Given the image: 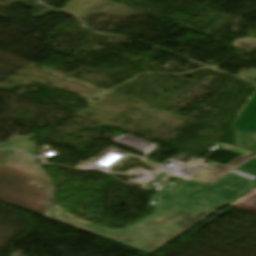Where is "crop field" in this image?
<instances>
[{"instance_id": "crop-field-1", "label": "crop field", "mask_w": 256, "mask_h": 256, "mask_svg": "<svg viewBox=\"0 0 256 256\" xmlns=\"http://www.w3.org/2000/svg\"><path fill=\"white\" fill-rule=\"evenodd\" d=\"M255 185L256 179L251 181L232 173L213 185L185 181L168 194L160 193L155 214L127 229L81 223L65 217L66 212L58 205L43 216L150 254Z\"/></svg>"}, {"instance_id": "crop-field-2", "label": "crop field", "mask_w": 256, "mask_h": 256, "mask_svg": "<svg viewBox=\"0 0 256 256\" xmlns=\"http://www.w3.org/2000/svg\"><path fill=\"white\" fill-rule=\"evenodd\" d=\"M54 190V185L34 157L16 151L0 165L1 201L42 215L55 205Z\"/></svg>"}, {"instance_id": "crop-field-3", "label": "crop field", "mask_w": 256, "mask_h": 256, "mask_svg": "<svg viewBox=\"0 0 256 256\" xmlns=\"http://www.w3.org/2000/svg\"><path fill=\"white\" fill-rule=\"evenodd\" d=\"M234 128L256 131V91L233 123Z\"/></svg>"}, {"instance_id": "crop-field-4", "label": "crop field", "mask_w": 256, "mask_h": 256, "mask_svg": "<svg viewBox=\"0 0 256 256\" xmlns=\"http://www.w3.org/2000/svg\"><path fill=\"white\" fill-rule=\"evenodd\" d=\"M232 168L220 165V164H212L202 171H200L198 174L193 176L190 179L199 180L203 182H211L219 178L221 175L226 173L227 171L231 170Z\"/></svg>"}, {"instance_id": "crop-field-5", "label": "crop field", "mask_w": 256, "mask_h": 256, "mask_svg": "<svg viewBox=\"0 0 256 256\" xmlns=\"http://www.w3.org/2000/svg\"><path fill=\"white\" fill-rule=\"evenodd\" d=\"M237 147L256 153V132L235 129Z\"/></svg>"}, {"instance_id": "crop-field-6", "label": "crop field", "mask_w": 256, "mask_h": 256, "mask_svg": "<svg viewBox=\"0 0 256 256\" xmlns=\"http://www.w3.org/2000/svg\"><path fill=\"white\" fill-rule=\"evenodd\" d=\"M230 205L256 214V187Z\"/></svg>"}, {"instance_id": "crop-field-7", "label": "crop field", "mask_w": 256, "mask_h": 256, "mask_svg": "<svg viewBox=\"0 0 256 256\" xmlns=\"http://www.w3.org/2000/svg\"><path fill=\"white\" fill-rule=\"evenodd\" d=\"M234 45L249 51L256 48V39L246 38L236 40Z\"/></svg>"}, {"instance_id": "crop-field-8", "label": "crop field", "mask_w": 256, "mask_h": 256, "mask_svg": "<svg viewBox=\"0 0 256 256\" xmlns=\"http://www.w3.org/2000/svg\"><path fill=\"white\" fill-rule=\"evenodd\" d=\"M237 170L256 175V158L247 161L245 164L240 166Z\"/></svg>"}, {"instance_id": "crop-field-9", "label": "crop field", "mask_w": 256, "mask_h": 256, "mask_svg": "<svg viewBox=\"0 0 256 256\" xmlns=\"http://www.w3.org/2000/svg\"><path fill=\"white\" fill-rule=\"evenodd\" d=\"M251 155H253V154H250V153L246 152L243 155H241L240 157H238L235 160L228 163L226 166L234 168L235 166H237L239 163H241L243 160H245L247 157H249Z\"/></svg>"}, {"instance_id": "crop-field-10", "label": "crop field", "mask_w": 256, "mask_h": 256, "mask_svg": "<svg viewBox=\"0 0 256 256\" xmlns=\"http://www.w3.org/2000/svg\"><path fill=\"white\" fill-rule=\"evenodd\" d=\"M66 216L67 217H70V218H73V219H76V220H79V221H82V220H80V219H78V218H76V217H74V216H72V215H70V214H66ZM82 222H84V223H87V222H85V221H82Z\"/></svg>"}, {"instance_id": "crop-field-11", "label": "crop field", "mask_w": 256, "mask_h": 256, "mask_svg": "<svg viewBox=\"0 0 256 256\" xmlns=\"http://www.w3.org/2000/svg\"><path fill=\"white\" fill-rule=\"evenodd\" d=\"M251 82H254V83H256V78H255V79H253Z\"/></svg>"}]
</instances>
